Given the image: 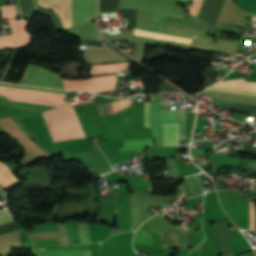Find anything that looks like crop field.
I'll use <instances>...</instances> for the list:
<instances>
[{
    "label": "crop field",
    "instance_id": "8a807250",
    "mask_svg": "<svg viewBox=\"0 0 256 256\" xmlns=\"http://www.w3.org/2000/svg\"><path fill=\"white\" fill-rule=\"evenodd\" d=\"M0 95L6 96L12 105L51 109L58 107L53 105L54 102L62 104V99L65 97L66 92L0 83Z\"/></svg>",
    "mask_w": 256,
    "mask_h": 256
},
{
    "label": "crop field",
    "instance_id": "ac0d7876",
    "mask_svg": "<svg viewBox=\"0 0 256 256\" xmlns=\"http://www.w3.org/2000/svg\"><path fill=\"white\" fill-rule=\"evenodd\" d=\"M42 114L53 141L85 137L73 107L63 105Z\"/></svg>",
    "mask_w": 256,
    "mask_h": 256
},
{
    "label": "crop field",
    "instance_id": "34b2d1b8",
    "mask_svg": "<svg viewBox=\"0 0 256 256\" xmlns=\"http://www.w3.org/2000/svg\"><path fill=\"white\" fill-rule=\"evenodd\" d=\"M163 16H170V17H180L185 18L183 15L179 13H171V12H149V11H139L137 10L136 14V21L135 26L137 28H142L146 30L164 32L174 35H180L190 38H195L203 41H210L213 42L214 38L210 36L198 35L193 33H184L178 32L173 30L163 29Z\"/></svg>",
    "mask_w": 256,
    "mask_h": 256
},
{
    "label": "crop field",
    "instance_id": "412701ff",
    "mask_svg": "<svg viewBox=\"0 0 256 256\" xmlns=\"http://www.w3.org/2000/svg\"><path fill=\"white\" fill-rule=\"evenodd\" d=\"M26 70L45 69H41L39 67L34 66L33 64H29ZM18 83L63 89L61 78L50 71H25L24 76Z\"/></svg>",
    "mask_w": 256,
    "mask_h": 256
},
{
    "label": "crop field",
    "instance_id": "f4fd0767",
    "mask_svg": "<svg viewBox=\"0 0 256 256\" xmlns=\"http://www.w3.org/2000/svg\"><path fill=\"white\" fill-rule=\"evenodd\" d=\"M11 32L16 48H26L30 45L31 38L26 32L28 23L26 20H10ZM12 35L0 37V49H14Z\"/></svg>",
    "mask_w": 256,
    "mask_h": 256
},
{
    "label": "crop field",
    "instance_id": "dd49c442",
    "mask_svg": "<svg viewBox=\"0 0 256 256\" xmlns=\"http://www.w3.org/2000/svg\"><path fill=\"white\" fill-rule=\"evenodd\" d=\"M95 0H72L73 25L95 19Z\"/></svg>",
    "mask_w": 256,
    "mask_h": 256
},
{
    "label": "crop field",
    "instance_id": "e52e79f7",
    "mask_svg": "<svg viewBox=\"0 0 256 256\" xmlns=\"http://www.w3.org/2000/svg\"><path fill=\"white\" fill-rule=\"evenodd\" d=\"M214 86L215 87H221V88H227V89L245 90V91L256 92V83H247L242 79L219 82L218 84H216ZM215 87H211L208 90L225 92V93L244 94V95L256 96V93H253V92L227 90V89H221V88H215Z\"/></svg>",
    "mask_w": 256,
    "mask_h": 256
},
{
    "label": "crop field",
    "instance_id": "d8731c3e",
    "mask_svg": "<svg viewBox=\"0 0 256 256\" xmlns=\"http://www.w3.org/2000/svg\"><path fill=\"white\" fill-rule=\"evenodd\" d=\"M185 111L186 110H161L162 123L180 122L179 139L185 137Z\"/></svg>",
    "mask_w": 256,
    "mask_h": 256
},
{
    "label": "crop field",
    "instance_id": "5a996713",
    "mask_svg": "<svg viewBox=\"0 0 256 256\" xmlns=\"http://www.w3.org/2000/svg\"><path fill=\"white\" fill-rule=\"evenodd\" d=\"M131 100L132 99L108 104L111 109L112 114H115V113L121 111L122 109L130 106ZM108 105L105 104V105L95 106L100 118L112 116Z\"/></svg>",
    "mask_w": 256,
    "mask_h": 256
},
{
    "label": "crop field",
    "instance_id": "3316defc",
    "mask_svg": "<svg viewBox=\"0 0 256 256\" xmlns=\"http://www.w3.org/2000/svg\"><path fill=\"white\" fill-rule=\"evenodd\" d=\"M129 63L130 62H128V63L92 65L91 70H90V74L91 75H99V74L119 72V71L127 69L129 67Z\"/></svg>",
    "mask_w": 256,
    "mask_h": 256
},
{
    "label": "crop field",
    "instance_id": "28ad6ade",
    "mask_svg": "<svg viewBox=\"0 0 256 256\" xmlns=\"http://www.w3.org/2000/svg\"><path fill=\"white\" fill-rule=\"evenodd\" d=\"M178 131L179 123L163 124V145H180Z\"/></svg>",
    "mask_w": 256,
    "mask_h": 256
},
{
    "label": "crop field",
    "instance_id": "d1516ede",
    "mask_svg": "<svg viewBox=\"0 0 256 256\" xmlns=\"http://www.w3.org/2000/svg\"><path fill=\"white\" fill-rule=\"evenodd\" d=\"M33 256H90L91 251L77 250H32Z\"/></svg>",
    "mask_w": 256,
    "mask_h": 256
},
{
    "label": "crop field",
    "instance_id": "22f410ed",
    "mask_svg": "<svg viewBox=\"0 0 256 256\" xmlns=\"http://www.w3.org/2000/svg\"><path fill=\"white\" fill-rule=\"evenodd\" d=\"M152 141H131V142H124V146L118 150V152H128V151H138L144 150L145 147H151Z\"/></svg>",
    "mask_w": 256,
    "mask_h": 256
},
{
    "label": "crop field",
    "instance_id": "cbeb9de0",
    "mask_svg": "<svg viewBox=\"0 0 256 256\" xmlns=\"http://www.w3.org/2000/svg\"><path fill=\"white\" fill-rule=\"evenodd\" d=\"M18 181V179L11 174L10 170L8 169L7 165L0 162V184L5 187L9 184Z\"/></svg>",
    "mask_w": 256,
    "mask_h": 256
},
{
    "label": "crop field",
    "instance_id": "5142ce71",
    "mask_svg": "<svg viewBox=\"0 0 256 256\" xmlns=\"http://www.w3.org/2000/svg\"><path fill=\"white\" fill-rule=\"evenodd\" d=\"M119 0H101L100 13L116 11Z\"/></svg>",
    "mask_w": 256,
    "mask_h": 256
},
{
    "label": "crop field",
    "instance_id": "d9b57169",
    "mask_svg": "<svg viewBox=\"0 0 256 256\" xmlns=\"http://www.w3.org/2000/svg\"><path fill=\"white\" fill-rule=\"evenodd\" d=\"M3 18L15 19L16 8L15 5L1 6Z\"/></svg>",
    "mask_w": 256,
    "mask_h": 256
},
{
    "label": "crop field",
    "instance_id": "733c2abd",
    "mask_svg": "<svg viewBox=\"0 0 256 256\" xmlns=\"http://www.w3.org/2000/svg\"><path fill=\"white\" fill-rule=\"evenodd\" d=\"M35 230H31L29 232H37V231H56L58 230L57 224L47 223L42 225H32Z\"/></svg>",
    "mask_w": 256,
    "mask_h": 256
},
{
    "label": "crop field",
    "instance_id": "4a817a6b",
    "mask_svg": "<svg viewBox=\"0 0 256 256\" xmlns=\"http://www.w3.org/2000/svg\"><path fill=\"white\" fill-rule=\"evenodd\" d=\"M13 217L9 209L0 211V225L13 222Z\"/></svg>",
    "mask_w": 256,
    "mask_h": 256
},
{
    "label": "crop field",
    "instance_id": "bc2a9ffb",
    "mask_svg": "<svg viewBox=\"0 0 256 256\" xmlns=\"http://www.w3.org/2000/svg\"><path fill=\"white\" fill-rule=\"evenodd\" d=\"M183 1L191 2L192 0H183ZM203 1L204 0H193V4L188 12L197 16L200 11Z\"/></svg>",
    "mask_w": 256,
    "mask_h": 256
},
{
    "label": "crop field",
    "instance_id": "214f88e0",
    "mask_svg": "<svg viewBox=\"0 0 256 256\" xmlns=\"http://www.w3.org/2000/svg\"><path fill=\"white\" fill-rule=\"evenodd\" d=\"M192 49H198V50H204V51H211V50H215V51H221V52H226V53H230V54H235L236 51H231V50H222V49H213V48H206V47H202V46H195V45H191Z\"/></svg>",
    "mask_w": 256,
    "mask_h": 256
},
{
    "label": "crop field",
    "instance_id": "92a150f3",
    "mask_svg": "<svg viewBox=\"0 0 256 256\" xmlns=\"http://www.w3.org/2000/svg\"><path fill=\"white\" fill-rule=\"evenodd\" d=\"M16 1V6H17V15H20L19 14V8H18V1L17 0H15ZM34 2H35V9L34 10H38L37 9V2H36V0H34ZM45 9V8H44ZM34 10H32V11H34ZM47 10V9H46ZM32 11H31V18L30 17H28V16H24L23 18H25V17H28L29 19H32ZM39 11V10H38ZM40 12V11H39ZM42 13V12H41ZM53 13H55V12H53ZM56 14V13H55ZM56 16H57V14H56ZM57 18H58V20H59V22H60V19H59V17L57 16ZM19 19H21V15H20V18ZM51 19V21H52V23H53V25H54V27H55V29L57 30V28H56V26H55V24H54V22H53V20H52V18H50ZM60 25H61V27H62V24H61V22H60ZM62 29H63V27H62ZM62 29H60V30H62Z\"/></svg>",
    "mask_w": 256,
    "mask_h": 256
},
{
    "label": "crop field",
    "instance_id": "dafd665d",
    "mask_svg": "<svg viewBox=\"0 0 256 256\" xmlns=\"http://www.w3.org/2000/svg\"><path fill=\"white\" fill-rule=\"evenodd\" d=\"M148 112H149V103H144V125L149 127Z\"/></svg>",
    "mask_w": 256,
    "mask_h": 256
},
{
    "label": "crop field",
    "instance_id": "00972430",
    "mask_svg": "<svg viewBox=\"0 0 256 256\" xmlns=\"http://www.w3.org/2000/svg\"><path fill=\"white\" fill-rule=\"evenodd\" d=\"M20 232H21V234H22V236L24 238V245H25V247H32V244H31V242H30V240L28 238L27 233L24 230H20Z\"/></svg>",
    "mask_w": 256,
    "mask_h": 256
},
{
    "label": "crop field",
    "instance_id": "a9b5d70f",
    "mask_svg": "<svg viewBox=\"0 0 256 256\" xmlns=\"http://www.w3.org/2000/svg\"><path fill=\"white\" fill-rule=\"evenodd\" d=\"M84 45H90V46H98V47H102L103 46V42H97V41H87V40H82Z\"/></svg>",
    "mask_w": 256,
    "mask_h": 256
}]
</instances>
